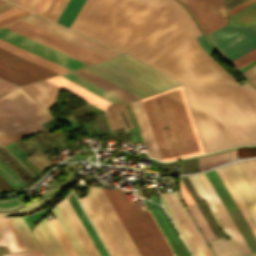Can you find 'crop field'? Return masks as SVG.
I'll return each instance as SVG.
<instances>
[{
	"label": "crop field",
	"instance_id": "crop-field-1",
	"mask_svg": "<svg viewBox=\"0 0 256 256\" xmlns=\"http://www.w3.org/2000/svg\"><path fill=\"white\" fill-rule=\"evenodd\" d=\"M71 28L181 81L207 152L256 144V102L200 47L178 2L86 0Z\"/></svg>",
	"mask_w": 256,
	"mask_h": 256
},
{
	"label": "crop field",
	"instance_id": "crop-field-2",
	"mask_svg": "<svg viewBox=\"0 0 256 256\" xmlns=\"http://www.w3.org/2000/svg\"><path fill=\"white\" fill-rule=\"evenodd\" d=\"M142 101L162 161L204 153L182 86Z\"/></svg>",
	"mask_w": 256,
	"mask_h": 256
},
{
	"label": "crop field",
	"instance_id": "crop-field-3",
	"mask_svg": "<svg viewBox=\"0 0 256 256\" xmlns=\"http://www.w3.org/2000/svg\"><path fill=\"white\" fill-rule=\"evenodd\" d=\"M102 190L141 256H175L150 211L140 212L124 190Z\"/></svg>",
	"mask_w": 256,
	"mask_h": 256
},
{
	"label": "crop field",
	"instance_id": "crop-field-4",
	"mask_svg": "<svg viewBox=\"0 0 256 256\" xmlns=\"http://www.w3.org/2000/svg\"><path fill=\"white\" fill-rule=\"evenodd\" d=\"M85 68L140 98L180 84L126 55Z\"/></svg>",
	"mask_w": 256,
	"mask_h": 256
},
{
	"label": "crop field",
	"instance_id": "crop-field-5",
	"mask_svg": "<svg viewBox=\"0 0 256 256\" xmlns=\"http://www.w3.org/2000/svg\"><path fill=\"white\" fill-rule=\"evenodd\" d=\"M52 116L21 88L0 98V142L6 144L43 127Z\"/></svg>",
	"mask_w": 256,
	"mask_h": 256
},
{
	"label": "crop field",
	"instance_id": "crop-field-6",
	"mask_svg": "<svg viewBox=\"0 0 256 256\" xmlns=\"http://www.w3.org/2000/svg\"><path fill=\"white\" fill-rule=\"evenodd\" d=\"M163 204L194 256H214L181 203L178 192L160 195Z\"/></svg>",
	"mask_w": 256,
	"mask_h": 256
},
{
	"label": "crop field",
	"instance_id": "crop-field-7",
	"mask_svg": "<svg viewBox=\"0 0 256 256\" xmlns=\"http://www.w3.org/2000/svg\"><path fill=\"white\" fill-rule=\"evenodd\" d=\"M12 31H15L23 36H26L34 41L46 45L54 50H57L65 55H68L76 60H79L87 65L94 64L100 61L108 60L21 20L4 26Z\"/></svg>",
	"mask_w": 256,
	"mask_h": 256
},
{
	"label": "crop field",
	"instance_id": "crop-field-8",
	"mask_svg": "<svg viewBox=\"0 0 256 256\" xmlns=\"http://www.w3.org/2000/svg\"><path fill=\"white\" fill-rule=\"evenodd\" d=\"M230 61L256 47V29L229 23L208 36Z\"/></svg>",
	"mask_w": 256,
	"mask_h": 256
},
{
	"label": "crop field",
	"instance_id": "crop-field-9",
	"mask_svg": "<svg viewBox=\"0 0 256 256\" xmlns=\"http://www.w3.org/2000/svg\"><path fill=\"white\" fill-rule=\"evenodd\" d=\"M86 195L97 214L90 215L94 227L112 256H132L93 187Z\"/></svg>",
	"mask_w": 256,
	"mask_h": 256
},
{
	"label": "crop field",
	"instance_id": "crop-field-10",
	"mask_svg": "<svg viewBox=\"0 0 256 256\" xmlns=\"http://www.w3.org/2000/svg\"><path fill=\"white\" fill-rule=\"evenodd\" d=\"M21 20L39 27L45 31H48L54 35H57L63 39H66L72 43H75L81 47H84L90 51H93L99 55H102L108 59L122 55V53L116 50H113L76 32H73L36 14H31Z\"/></svg>",
	"mask_w": 256,
	"mask_h": 256
},
{
	"label": "crop field",
	"instance_id": "crop-field-11",
	"mask_svg": "<svg viewBox=\"0 0 256 256\" xmlns=\"http://www.w3.org/2000/svg\"><path fill=\"white\" fill-rule=\"evenodd\" d=\"M221 170L256 226V187L241 161L221 167Z\"/></svg>",
	"mask_w": 256,
	"mask_h": 256
},
{
	"label": "crop field",
	"instance_id": "crop-field-12",
	"mask_svg": "<svg viewBox=\"0 0 256 256\" xmlns=\"http://www.w3.org/2000/svg\"><path fill=\"white\" fill-rule=\"evenodd\" d=\"M0 38L23 49H26L34 54H37L43 58H46L52 62H55L61 66H64L70 70L87 66L79 61H76L57 51L45 47L4 27L0 28Z\"/></svg>",
	"mask_w": 256,
	"mask_h": 256
},
{
	"label": "crop field",
	"instance_id": "crop-field-13",
	"mask_svg": "<svg viewBox=\"0 0 256 256\" xmlns=\"http://www.w3.org/2000/svg\"><path fill=\"white\" fill-rule=\"evenodd\" d=\"M224 2L225 0H186L184 4L208 34L227 23Z\"/></svg>",
	"mask_w": 256,
	"mask_h": 256
},
{
	"label": "crop field",
	"instance_id": "crop-field-14",
	"mask_svg": "<svg viewBox=\"0 0 256 256\" xmlns=\"http://www.w3.org/2000/svg\"><path fill=\"white\" fill-rule=\"evenodd\" d=\"M0 69L29 83L58 75L1 48Z\"/></svg>",
	"mask_w": 256,
	"mask_h": 256
},
{
	"label": "crop field",
	"instance_id": "crop-field-15",
	"mask_svg": "<svg viewBox=\"0 0 256 256\" xmlns=\"http://www.w3.org/2000/svg\"><path fill=\"white\" fill-rule=\"evenodd\" d=\"M188 179L190 180L191 184L193 185L198 195H200L202 198L205 199L207 206L215 222L224 231V233L230 238L229 240L223 239V240L210 242L217 256H231V255L241 254L242 253L241 249L239 248L238 244L234 240L233 236L231 235L230 231L228 230L221 216L217 212L216 208L214 207L213 203L211 202L204 188L200 184L196 175L189 176Z\"/></svg>",
	"mask_w": 256,
	"mask_h": 256
},
{
	"label": "crop field",
	"instance_id": "crop-field-16",
	"mask_svg": "<svg viewBox=\"0 0 256 256\" xmlns=\"http://www.w3.org/2000/svg\"><path fill=\"white\" fill-rule=\"evenodd\" d=\"M58 206H59L61 212L63 213L64 217L66 218L68 224L70 225L71 229L73 230L78 241L80 242L86 255L87 256H99L97 250L95 249L93 243L91 242L90 238L88 237L86 231L84 230L78 217L76 216L75 212L73 211L67 198L64 201H62Z\"/></svg>",
	"mask_w": 256,
	"mask_h": 256
},
{
	"label": "crop field",
	"instance_id": "crop-field-17",
	"mask_svg": "<svg viewBox=\"0 0 256 256\" xmlns=\"http://www.w3.org/2000/svg\"><path fill=\"white\" fill-rule=\"evenodd\" d=\"M176 256H189L161 207L144 200Z\"/></svg>",
	"mask_w": 256,
	"mask_h": 256
},
{
	"label": "crop field",
	"instance_id": "crop-field-18",
	"mask_svg": "<svg viewBox=\"0 0 256 256\" xmlns=\"http://www.w3.org/2000/svg\"><path fill=\"white\" fill-rule=\"evenodd\" d=\"M33 232L47 256H67L46 218L37 224Z\"/></svg>",
	"mask_w": 256,
	"mask_h": 256
},
{
	"label": "crop field",
	"instance_id": "crop-field-19",
	"mask_svg": "<svg viewBox=\"0 0 256 256\" xmlns=\"http://www.w3.org/2000/svg\"><path fill=\"white\" fill-rule=\"evenodd\" d=\"M47 109H51L62 88L44 80L22 87Z\"/></svg>",
	"mask_w": 256,
	"mask_h": 256
},
{
	"label": "crop field",
	"instance_id": "crop-field-20",
	"mask_svg": "<svg viewBox=\"0 0 256 256\" xmlns=\"http://www.w3.org/2000/svg\"><path fill=\"white\" fill-rule=\"evenodd\" d=\"M197 176L207 191L208 195L210 196L211 200L213 201L214 205L216 206L217 210L221 214L222 218L224 219L225 223L227 224L228 228L230 229L231 233L233 234L234 238L236 239L237 243L239 244L240 248L242 249L243 253L250 252L249 248L247 247L246 243L244 242L243 238L241 237L240 233L238 232L237 228L235 227L204 173Z\"/></svg>",
	"mask_w": 256,
	"mask_h": 256
},
{
	"label": "crop field",
	"instance_id": "crop-field-21",
	"mask_svg": "<svg viewBox=\"0 0 256 256\" xmlns=\"http://www.w3.org/2000/svg\"><path fill=\"white\" fill-rule=\"evenodd\" d=\"M130 105L136 114L149 156L160 159L142 101L132 102Z\"/></svg>",
	"mask_w": 256,
	"mask_h": 256
},
{
	"label": "crop field",
	"instance_id": "crop-field-22",
	"mask_svg": "<svg viewBox=\"0 0 256 256\" xmlns=\"http://www.w3.org/2000/svg\"><path fill=\"white\" fill-rule=\"evenodd\" d=\"M73 73L85 78L86 80L100 86L101 88L113 93L114 95L130 102L136 99H139L138 97L130 94L129 92L119 88L118 86L106 81L105 79L95 75L94 73L82 68L76 71H72Z\"/></svg>",
	"mask_w": 256,
	"mask_h": 256
},
{
	"label": "crop field",
	"instance_id": "crop-field-23",
	"mask_svg": "<svg viewBox=\"0 0 256 256\" xmlns=\"http://www.w3.org/2000/svg\"><path fill=\"white\" fill-rule=\"evenodd\" d=\"M66 90H68L69 92L89 101L90 103L96 105L97 107L104 109L105 106H107L108 104H110L109 102L95 96L94 94L76 86L75 84L59 77V76H56V77H52V78H48L46 79ZM88 102V103H89Z\"/></svg>",
	"mask_w": 256,
	"mask_h": 256
},
{
	"label": "crop field",
	"instance_id": "crop-field-24",
	"mask_svg": "<svg viewBox=\"0 0 256 256\" xmlns=\"http://www.w3.org/2000/svg\"><path fill=\"white\" fill-rule=\"evenodd\" d=\"M0 47L7 50V51H10L16 55H19L27 60H30L38 65H41L47 69H50L58 74H61V73H64V72H67V71H70L64 67H61L55 63H52L46 59H43L37 55H34L26 50H23L17 46H14L8 42H5L3 40L0 39Z\"/></svg>",
	"mask_w": 256,
	"mask_h": 256
},
{
	"label": "crop field",
	"instance_id": "crop-field-25",
	"mask_svg": "<svg viewBox=\"0 0 256 256\" xmlns=\"http://www.w3.org/2000/svg\"><path fill=\"white\" fill-rule=\"evenodd\" d=\"M0 236L9 252L26 250L9 218H3L2 214H0Z\"/></svg>",
	"mask_w": 256,
	"mask_h": 256
},
{
	"label": "crop field",
	"instance_id": "crop-field-26",
	"mask_svg": "<svg viewBox=\"0 0 256 256\" xmlns=\"http://www.w3.org/2000/svg\"><path fill=\"white\" fill-rule=\"evenodd\" d=\"M61 77L75 83L76 85L94 93L95 95L113 103L115 101H123V102H126L116 96H114L113 94L99 88L98 86L86 81L85 79L69 72V73H66V74H63V75H60Z\"/></svg>",
	"mask_w": 256,
	"mask_h": 256
},
{
	"label": "crop field",
	"instance_id": "crop-field-27",
	"mask_svg": "<svg viewBox=\"0 0 256 256\" xmlns=\"http://www.w3.org/2000/svg\"><path fill=\"white\" fill-rule=\"evenodd\" d=\"M119 108L122 109V111H123V113H124L128 123H129L130 128L134 127V125H133V123H132V121H131V119H130V117H129V115H128L125 107H124V105L123 104H119V103H115V104L107 107L108 111L104 112V114H105V116L107 118L110 130H111L112 133H114L113 130H115V129H122V125L126 129V131L128 132V130H127V128H126V126H125V124H124V122H123V120H122V118H121V116H120V114H119V112L117 110ZM119 119H120L122 125H121Z\"/></svg>",
	"mask_w": 256,
	"mask_h": 256
},
{
	"label": "crop field",
	"instance_id": "crop-field-28",
	"mask_svg": "<svg viewBox=\"0 0 256 256\" xmlns=\"http://www.w3.org/2000/svg\"><path fill=\"white\" fill-rule=\"evenodd\" d=\"M95 191L97 192L99 198L101 199L103 205L105 206L107 212L109 213L110 217L112 218L114 224L116 225L118 231L120 232L121 236L123 237L125 243L127 244L129 250L131 251L133 256H140L134 247L133 243L131 242L129 236L127 235L126 231L124 230L122 224L120 223L119 219L117 218L115 212L113 211L112 207L110 206L108 200L106 199L105 195L103 194L101 188L94 187Z\"/></svg>",
	"mask_w": 256,
	"mask_h": 256
},
{
	"label": "crop field",
	"instance_id": "crop-field-29",
	"mask_svg": "<svg viewBox=\"0 0 256 256\" xmlns=\"http://www.w3.org/2000/svg\"><path fill=\"white\" fill-rule=\"evenodd\" d=\"M72 207L74 208L76 214L78 215L80 221L82 222L84 228L86 229L88 235L90 236L92 242L94 243L95 247L97 248L99 254L101 256H108L106 250L104 249L103 245L101 244L99 238L97 237L96 233L94 232L92 226L90 225L88 219L86 218L85 214L83 213L81 207L79 206L78 202L76 201L74 195L69 200Z\"/></svg>",
	"mask_w": 256,
	"mask_h": 256
},
{
	"label": "crop field",
	"instance_id": "crop-field-30",
	"mask_svg": "<svg viewBox=\"0 0 256 256\" xmlns=\"http://www.w3.org/2000/svg\"><path fill=\"white\" fill-rule=\"evenodd\" d=\"M10 220L14 225L16 231L18 232L19 236L21 237L23 243L25 244L27 250L39 248L23 218H10Z\"/></svg>",
	"mask_w": 256,
	"mask_h": 256
},
{
	"label": "crop field",
	"instance_id": "crop-field-31",
	"mask_svg": "<svg viewBox=\"0 0 256 256\" xmlns=\"http://www.w3.org/2000/svg\"><path fill=\"white\" fill-rule=\"evenodd\" d=\"M55 218L57 219L58 223L60 224L62 230L64 231L65 235L67 236L69 242L71 243L73 249L75 250L78 256H86L83 249L81 248L79 242L77 241L76 237L74 236L72 230L70 229L69 225L67 224L65 218L63 217L62 213L60 212L58 206L52 211Z\"/></svg>",
	"mask_w": 256,
	"mask_h": 256
},
{
	"label": "crop field",
	"instance_id": "crop-field-32",
	"mask_svg": "<svg viewBox=\"0 0 256 256\" xmlns=\"http://www.w3.org/2000/svg\"><path fill=\"white\" fill-rule=\"evenodd\" d=\"M230 155H231V160L236 159L237 158L236 157V149L230 150ZM227 161H229L228 151L219 153V154H215V155H211V156H207V157L199 158L201 170L215 166L222 162H227Z\"/></svg>",
	"mask_w": 256,
	"mask_h": 256
},
{
	"label": "crop field",
	"instance_id": "crop-field-33",
	"mask_svg": "<svg viewBox=\"0 0 256 256\" xmlns=\"http://www.w3.org/2000/svg\"><path fill=\"white\" fill-rule=\"evenodd\" d=\"M84 1L85 0H70L62 15L60 16L58 23L70 27Z\"/></svg>",
	"mask_w": 256,
	"mask_h": 256
},
{
	"label": "crop field",
	"instance_id": "crop-field-34",
	"mask_svg": "<svg viewBox=\"0 0 256 256\" xmlns=\"http://www.w3.org/2000/svg\"><path fill=\"white\" fill-rule=\"evenodd\" d=\"M216 171H217L218 175L220 176L221 180L223 181L224 185L226 186L227 190L229 191L230 195L232 196L233 200L235 201L236 205L238 206L239 210L241 211L242 215L244 216L245 220L247 221L248 225L250 226L251 230L253 231L254 235L256 236V227L251 222L248 214L246 213V211L243 208L242 204L240 203L239 199L235 195V193L232 190L231 186L229 185L228 181L224 177V175L221 172L220 168L216 169Z\"/></svg>",
	"mask_w": 256,
	"mask_h": 256
},
{
	"label": "crop field",
	"instance_id": "crop-field-35",
	"mask_svg": "<svg viewBox=\"0 0 256 256\" xmlns=\"http://www.w3.org/2000/svg\"><path fill=\"white\" fill-rule=\"evenodd\" d=\"M28 14H30V12H28L18 6H15L9 10H6V11L0 13V26L10 23V22L17 20L23 16L28 15Z\"/></svg>",
	"mask_w": 256,
	"mask_h": 256
},
{
	"label": "crop field",
	"instance_id": "crop-field-36",
	"mask_svg": "<svg viewBox=\"0 0 256 256\" xmlns=\"http://www.w3.org/2000/svg\"><path fill=\"white\" fill-rule=\"evenodd\" d=\"M187 207L191 211L192 215L198 222L200 228L202 229L203 233L205 234L207 240L214 239L215 236L212 233L211 229L207 225L206 221L204 220L203 216L201 215L200 211L196 207L195 203L188 204Z\"/></svg>",
	"mask_w": 256,
	"mask_h": 256
},
{
	"label": "crop field",
	"instance_id": "crop-field-37",
	"mask_svg": "<svg viewBox=\"0 0 256 256\" xmlns=\"http://www.w3.org/2000/svg\"><path fill=\"white\" fill-rule=\"evenodd\" d=\"M51 225L52 229L54 230L56 236L58 237L60 243L62 244L63 248L65 249L68 256H77L72 249L70 243L68 242L67 238L65 237L63 231L61 230L60 226L58 225L56 219L48 221Z\"/></svg>",
	"mask_w": 256,
	"mask_h": 256
},
{
	"label": "crop field",
	"instance_id": "crop-field-38",
	"mask_svg": "<svg viewBox=\"0 0 256 256\" xmlns=\"http://www.w3.org/2000/svg\"><path fill=\"white\" fill-rule=\"evenodd\" d=\"M0 175L14 188L25 185L7 166L0 161Z\"/></svg>",
	"mask_w": 256,
	"mask_h": 256
},
{
	"label": "crop field",
	"instance_id": "crop-field-39",
	"mask_svg": "<svg viewBox=\"0 0 256 256\" xmlns=\"http://www.w3.org/2000/svg\"><path fill=\"white\" fill-rule=\"evenodd\" d=\"M28 160L41 172L52 164L40 150L33 153Z\"/></svg>",
	"mask_w": 256,
	"mask_h": 256
},
{
	"label": "crop field",
	"instance_id": "crop-field-40",
	"mask_svg": "<svg viewBox=\"0 0 256 256\" xmlns=\"http://www.w3.org/2000/svg\"><path fill=\"white\" fill-rule=\"evenodd\" d=\"M256 59V48L231 61L236 68H241Z\"/></svg>",
	"mask_w": 256,
	"mask_h": 256
},
{
	"label": "crop field",
	"instance_id": "crop-field-41",
	"mask_svg": "<svg viewBox=\"0 0 256 256\" xmlns=\"http://www.w3.org/2000/svg\"><path fill=\"white\" fill-rule=\"evenodd\" d=\"M40 205L34 201L26 206H23L17 210L11 211V212H4V216H10V215H18V214H25V213H30L34 210H36Z\"/></svg>",
	"mask_w": 256,
	"mask_h": 256
},
{
	"label": "crop field",
	"instance_id": "crop-field-42",
	"mask_svg": "<svg viewBox=\"0 0 256 256\" xmlns=\"http://www.w3.org/2000/svg\"><path fill=\"white\" fill-rule=\"evenodd\" d=\"M63 0H51L45 9L43 16L52 20Z\"/></svg>",
	"mask_w": 256,
	"mask_h": 256
},
{
	"label": "crop field",
	"instance_id": "crop-field-43",
	"mask_svg": "<svg viewBox=\"0 0 256 256\" xmlns=\"http://www.w3.org/2000/svg\"><path fill=\"white\" fill-rule=\"evenodd\" d=\"M20 205H22V203L20 202V200L18 198L8 200V201L0 200V210L10 209V208H14V207H17Z\"/></svg>",
	"mask_w": 256,
	"mask_h": 256
},
{
	"label": "crop field",
	"instance_id": "crop-field-44",
	"mask_svg": "<svg viewBox=\"0 0 256 256\" xmlns=\"http://www.w3.org/2000/svg\"><path fill=\"white\" fill-rule=\"evenodd\" d=\"M242 163L245 166V168H246L247 172L249 173L250 177L252 178L254 184L256 185V170L254 169L250 160L242 161Z\"/></svg>",
	"mask_w": 256,
	"mask_h": 256
},
{
	"label": "crop field",
	"instance_id": "crop-field-45",
	"mask_svg": "<svg viewBox=\"0 0 256 256\" xmlns=\"http://www.w3.org/2000/svg\"><path fill=\"white\" fill-rule=\"evenodd\" d=\"M0 77L6 79V80H9L17 85H24V84H28L27 82L21 80V79H18L10 74H7L3 71L0 70Z\"/></svg>",
	"mask_w": 256,
	"mask_h": 256
},
{
	"label": "crop field",
	"instance_id": "crop-field-46",
	"mask_svg": "<svg viewBox=\"0 0 256 256\" xmlns=\"http://www.w3.org/2000/svg\"><path fill=\"white\" fill-rule=\"evenodd\" d=\"M180 190H181V194H182V197H183V200L185 202V204H188V203H192L193 200L191 198V196L189 195L188 191L186 190L184 184L182 183L181 179H180Z\"/></svg>",
	"mask_w": 256,
	"mask_h": 256
},
{
	"label": "crop field",
	"instance_id": "crop-field-47",
	"mask_svg": "<svg viewBox=\"0 0 256 256\" xmlns=\"http://www.w3.org/2000/svg\"><path fill=\"white\" fill-rule=\"evenodd\" d=\"M79 201L82 204V206H83L84 210L86 211L87 215L95 213L94 209L90 205V203L87 200L86 196L84 198H80Z\"/></svg>",
	"mask_w": 256,
	"mask_h": 256
},
{
	"label": "crop field",
	"instance_id": "crop-field-48",
	"mask_svg": "<svg viewBox=\"0 0 256 256\" xmlns=\"http://www.w3.org/2000/svg\"><path fill=\"white\" fill-rule=\"evenodd\" d=\"M4 256H44L42 251H29V252H22V253H15V254H8Z\"/></svg>",
	"mask_w": 256,
	"mask_h": 256
},
{
	"label": "crop field",
	"instance_id": "crop-field-49",
	"mask_svg": "<svg viewBox=\"0 0 256 256\" xmlns=\"http://www.w3.org/2000/svg\"><path fill=\"white\" fill-rule=\"evenodd\" d=\"M38 1L39 0H22L20 6L33 11Z\"/></svg>",
	"mask_w": 256,
	"mask_h": 256
},
{
	"label": "crop field",
	"instance_id": "crop-field-50",
	"mask_svg": "<svg viewBox=\"0 0 256 256\" xmlns=\"http://www.w3.org/2000/svg\"><path fill=\"white\" fill-rule=\"evenodd\" d=\"M49 1H50V0H40V1L38 2L37 6H36L35 9H34V12H36V13L42 15V13H43L44 9L46 8V6H47V4H48Z\"/></svg>",
	"mask_w": 256,
	"mask_h": 256
},
{
	"label": "crop field",
	"instance_id": "crop-field-51",
	"mask_svg": "<svg viewBox=\"0 0 256 256\" xmlns=\"http://www.w3.org/2000/svg\"><path fill=\"white\" fill-rule=\"evenodd\" d=\"M250 95L251 97L256 101V90H254L248 83H245L241 85Z\"/></svg>",
	"mask_w": 256,
	"mask_h": 256
},
{
	"label": "crop field",
	"instance_id": "crop-field-52",
	"mask_svg": "<svg viewBox=\"0 0 256 256\" xmlns=\"http://www.w3.org/2000/svg\"><path fill=\"white\" fill-rule=\"evenodd\" d=\"M248 79H251L256 76V65L249 68L248 70L242 72Z\"/></svg>",
	"mask_w": 256,
	"mask_h": 256
},
{
	"label": "crop field",
	"instance_id": "crop-field-53",
	"mask_svg": "<svg viewBox=\"0 0 256 256\" xmlns=\"http://www.w3.org/2000/svg\"><path fill=\"white\" fill-rule=\"evenodd\" d=\"M13 86L14 85H12V84H10V83L0 79V93L5 91V90H7V89H9V88H11V87H13Z\"/></svg>",
	"mask_w": 256,
	"mask_h": 256
},
{
	"label": "crop field",
	"instance_id": "crop-field-54",
	"mask_svg": "<svg viewBox=\"0 0 256 256\" xmlns=\"http://www.w3.org/2000/svg\"><path fill=\"white\" fill-rule=\"evenodd\" d=\"M69 0H64L62 5L60 6L59 10L57 11L56 15L53 18V21H57L59 16L61 15L62 11L64 10L66 4L68 3Z\"/></svg>",
	"mask_w": 256,
	"mask_h": 256
},
{
	"label": "crop field",
	"instance_id": "crop-field-55",
	"mask_svg": "<svg viewBox=\"0 0 256 256\" xmlns=\"http://www.w3.org/2000/svg\"><path fill=\"white\" fill-rule=\"evenodd\" d=\"M13 6H15V5L10 4V3H8V2H5V3H3V4L0 5V12L4 11V10H6V9H9V8H11V7H13Z\"/></svg>",
	"mask_w": 256,
	"mask_h": 256
},
{
	"label": "crop field",
	"instance_id": "crop-field-56",
	"mask_svg": "<svg viewBox=\"0 0 256 256\" xmlns=\"http://www.w3.org/2000/svg\"><path fill=\"white\" fill-rule=\"evenodd\" d=\"M15 88H17V86H15V87H13V88H11V89H9V90H7V91H5V92L1 93V94H0V96H2V95H4V94H6L7 92H9V91H11V90H13V89H15Z\"/></svg>",
	"mask_w": 256,
	"mask_h": 256
},
{
	"label": "crop field",
	"instance_id": "crop-field-57",
	"mask_svg": "<svg viewBox=\"0 0 256 256\" xmlns=\"http://www.w3.org/2000/svg\"><path fill=\"white\" fill-rule=\"evenodd\" d=\"M9 1H11V2H13V3L19 5V3H20L21 0H9Z\"/></svg>",
	"mask_w": 256,
	"mask_h": 256
},
{
	"label": "crop field",
	"instance_id": "crop-field-58",
	"mask_svg": "<svg viewBox=\"0 0 256 256\" xmlns=\"http://www.w3.org/2000/svg\"><path fill=\"white\" fill-rule=\"evenodd\" d=\"M251 162L254 165V167L256 168V159L251 160Z\"/></svg>",
	"mask_w": 256,
	"mask_h": 256
},
{
	"label": "crop field",
	"instance_id": "crop-field-59",
	"mask_svg": "<svg viewBox=\"0 0 256 256\" xmlns=\"http://www.w3.org/2000/svg\"><path fill=\"white\" fill-rule=\"evenodd\" d=\"M242 256H256V253L248 254V255H242Z\"/></svg>",
	"mask_w": 256,
	"mask_h": 256
},
{
	"label": "crop field",
	"instance_id": "crop-field-60",
	"mask_svg": "<svg viewBox=\"0 0 256 256\" xmlns=\"http://www.w3.org/2000/svg\"><path fill=\"white\" fill-rule=\"evenodd\" d=\"M252 83L256 85V78L252 80Z\"/></svg>",
	"mask_w": 256,
	"mask_h": 256
},
{
	"label": "crop field",
	"instance_id": "crop-field-61",
	"mask_svg": "<svg viewBox=\"0 0 256 256\" xmlns=\"http://www.w3.org/2000/svg\"><path fill=\"white\" fill-rule=\"evenodd\" d=\"M0 245H4V243H3V241H2V239L0 238Z\"/></svg>",
	"mask_w": 256,
	"mask_h": 256
},
{
	"label": "crop field",
	"instance_id": "crop-field-62",
	"mask_svg": "<svg viewBox=\"0 0 256 256\" xmlns=\"http://www.w3.org/2000/svg\"><path fill=\"white\" fill-rule=\"evenodd\" d=\"M3 2H5V1L1 0V1H0V4L3 3Z\"/></svg>",
	"mask_w": 256,
	"mask_h": 256
},
{
	"label": "crop field",
	"instance_id": "crop-field-63",
	"mask_svg": "<svg viewBox=\"0 0 256 256\" xmlns=\"http://www.w3.org/2000/svg\"><path fill=\"white\" fill-rule=\"evenodd\" d=\"M181 1L184 3L185 0H181Z\"/></svg>",
	"mask_w": 256,
	"mask_h": 256
}]
</instances>
